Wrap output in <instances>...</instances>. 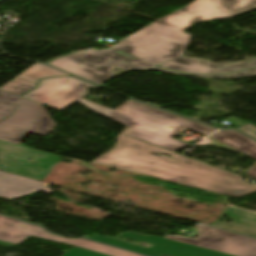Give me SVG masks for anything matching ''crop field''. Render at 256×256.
<instances>
[{"label":"crop field","instance_id":"10","mask_svg":"<svg viewBox=\"0 0 256 256\" xmlns=\"http://www.w3.org/2000/svg\"><path fill=\"white\" fill-rule=\"evenodd\" d=\"M120 236L152 243L154 245L149 249H147L138 245H134V244H130V243H126V242H122V241H118V240H114V239H110V238H106L98 235H93L92 239L109 243L112 245H116L119 247H123L126 249H130L133 251L141 252L144 254L152 255V256H164V255H167V256H231V255L211 251L208 249L188 245L185 243H181V242H177V241H173V240H169V239H165L157 236L146 237V236H142V235H138L130 232L124 233Z\"/></svg>","mask_w":256,"mask_h":256},{"label":"crop field","instance_id":"15","mask_svg":"<svg viewBox=\"0 0 256 256\" xmlns=\"http://www.w3.org/2000/svg\"><path fill=\"white\" fill-rule=\"evenodd\" d=\"M57 76H68V74H65L45 65L35 64L26 71L19 74L17 77L25 79L37 85L38 80L40 79Z\"/></svg>","mask_w":256,"mask_h":256},{"label":"crop field","instance_id":"16","mask_svg":"<svg viewBox=\"0 0 256 256\" xmlns=\"http://www.w3.org/2000/svg\"><path fill=\"white\" fill-rule=\"evenodd\" d=\"M147 70L154 69L158 71H163L167 73H172V74H177L181 76H190V77H205V78H221V79H232L240 76H245V77H250V76H255L256 75V68L250 69V70H245V71H240V72H235L227 75H195V74H185L181 72H176V71H171V70H166V69H161V68H154V65L151 67L146 68Z\"/></svg>","mask_w":256,"mask_h":256},{"label":"crop field","instance_id":"18","mask_svg":"<svg viewBox=\"0 0 256 256\" xmlns=\"http://www.w3.org/2000/svg\"><path fill=\"white\" fill-rule=\"evenodd\" d=\"M63 256H104V255L74 247Z\"/></svg>","mask_w":256,"mask_h":256},{"label":"crop field","instance_id":"9","mask_svg":"<svg viewBox=\"0 0 256 256\" xmlns=\"http://www.w3.org/2000/svg\"><path fill=\"white\" fill-rule=\"evenodd\" d=\"M196 228L198 236L194 239L180 235H167L165 238L234 256H256V239L203 225H198Z\"/></svg>","mask_w":256,"mask_h":256},{"label":"crop field","instance_id":"2","mask_svg":"<svg viewBox=\"0 0 256 256\" xmlns=\"http://www.w3.org/2000/svg\"><path fill=\"white\" fill-rule=\"evenodd\" d=\"M189 38L181 30L155 22L108 49L71 54L49 65L101 84L113 78L115 66L140 71L182 57Z\"/></svg>","mask_w":256,"mask_h":256},{"label":"crop field","instance_id":"4","mask_svg":"<svg viewBox=\"0 0 256 256\" xmlns=\"http://www.w3.org/2000/svg\"><path fill=\"white\" fill-rule=\"evenodd\" d=\"M18 99L0 89V120L11 113ZM55 127L42 105L22 98L13 115L0 123V140L19 144L28 133L45 136Z\"/></svg>","mask_w":256,"mask_h":256},{"label":"crop field","instance_id":"1","mask_svg":"<svg viewBox=\"0 0 256 256\" xmlns=\"http://www.w3.org/2000/svg\"><path fill=\"white\" fill-rule=\"evenodd\" d=\"M159 152L176 159L161 157ZM92 162L235 198L256 192V185L240 182V176L123 134L112 151Z\"/></svg>","mask_w":256,"mask_h":256},{"label":"crop field","instance_id":"14","mask_svg":"<svg viewBox=\"0 0 256 256\" xmlns=\"http://www.w3.org/2000/svg\"><path fill=\"white\" fill-rule=\"evenodd\" d=\"M231 217L232 223L225 222L215 224V227L227 229L244 235L256 237V215L236 208L229 207L225 212Z\"/></svg>","mask_w":256,"mask_h":256},{"label":"crop field","instance_id":"20","mask_svg":"<svg viewBox=\"0 0 256 256\" xmlns=\"http://www.w3.org/2000/svg\"><path fill=\"white\" fill-rule=\"evenodd\" d=\"M0 1H3V0H0Z\"/></svg>","mask_w":256,"mask_h":256},{"label":"crop field","instance_id":"7","mask_svg":"<svg viewBox=\"0 0 256 256\" xmlns=\"http://www.w3.org/2000/svg\"><path fill=\"white\" fill-rule=\"evenodd\" d=\"M90 86L99 89L74 77L47 79L40 81L38 89L22 97L61 111L88 95Z\"/></svg>","mask_w":256,"mask_h":256},{"label":"crop field","instance_id":"8","mask_svg":"<svg viewBox=\"0 0 256 256\" xmlns=\"http://www.w3.org/2000/svg\"><path fill=\"white\" fill-rule=\"evenodd\" d=\"M30 235L53 241H62L112 256H142L86 239H66L54 236L39 226L0 215V240L19 244Z\"/></svg>","mask_w":256,"mask_h":256},{"label":"crop field","instance_id":"11","mask_svg":"<svg viewBox=\"0 0 256 256\" xmlns=\"http://www.w3.org/2000/svg\"><path fill=\"white\" fill-rule=\"evenodd\" d=\"M162 67L177 69L185 72L199 73V74H213L226 73L239 69L256 66V58H247L238 63L231 64H213L205 60L191 59L189 57H182L169 62L161 64Z\"/></svg>","mask_w":256,"mask_h":256},{"label":"crop field","instance_id":"13","mask_svg":"<svg viewBox=\"0 0 256 256\" xmlns=\"http://www.w3.org/2000/svg\"><path fill=\"white\" fill-rule=\"evenodd\" d=\"M210 138L237 149L256 159V142L234 130L219 131ZM256 178V164L247 172Z\"/></svg>","mask_w":256,"mask_h":256},{"label":"crop field","instance_id":"17","mask_svg":"<svg viewBox=\"0 0 256 256\" xmlns=\"http://www.w3.org/2000/svg\"><path fill=\"white\" fill-rule=\"evenodd\" d=\"M35 87H37V86L30 82H27L25 80L15 77L10 82H8L6 85H4L1 89L21 96V94H23Z\"/></svg>","mask_w":256,"mask_h":256},{"label":"crop field","instance_id":"6","mask_svg":"<svg viewBox=\"0 0 256 256\" xmlns=\"http://www.w3.org/2000/svg\"><path fill=\"white\" fill-rule=\"evenodd\" d=\"M60 158L25 146L0 141V168L15 175L43 181ZM29 159L36 160L37 163H29Z\"/></svg>","mask_w":256,"mask_h":256},{"label":"crop field","instance_id":"3","mask_svg":"<svg viewBox=\"0 0 256 256\" xmlns=\"http://www.w3.org/2000/svg\"><path fill=\"white\" fill-rule=\"evenodd\" d=\"M79 102L94 111L108 116L128 127L123 134L158 145L169 150H178L188 144L171 138L182 128L209 135L217 129L134 102L127 101L115 111L81 99ZM169 126L173 127L172 129ZM182 127V128H180Z\"/></svg>","mask_w":256,"mask_h":256},{"label":"crop field","instance_id":"5","mask_svg":"<svg viewBox=\"0 0 256 256\" xmlns=\"http://www.w3.org/2000/svg\"><path fill=\"white\" fill-rule=\"evenodd\" d=\"M253 9L256 0H196L159 21L185 30L196 22L233 17Z\"/></svg>","mask_w":256,"mask_h":256},{"label":"crop field","instance_id":"12","mask_svg":"<svg viewBox=\"0 0 256 256\" xmlns=\"http://www.w3.org/2000/svg\"><path fill=\"white\" fill-rule=\"evenodd\" d=\"M48 185L49 184L0 172V197L2 198H16L36 191H42L48 194L54 192L47 187Z\"/></svg>","mask_w":256,"mask_h":256},{"label":"crop field","instance_id":"19","mask_svg":"<svg viewBox=\"0 0 256 256\" xmlns=\"http://www.w3.org/2000/svg\"><path fill=\"white\" fill-rule=\"evenodd\" d=\"M0 245H1V246L11 247L13 244H9V243H5V242H1V241H0Z\"/></svg>","mask_w":256,"mask_h":256}]
</instances>
